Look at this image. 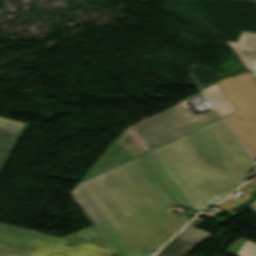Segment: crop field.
<instances>
[{"instance_id":"10","label":"crop field","mask_w":256,"mask_h":256,"mask_svg":"<svg viewBox=\"0 0 256 256\" xmlns=\"http://www.w3.org/2000/svg\"><path fill=\"white\" fill-rule=\"evenodd\" d=\"M203 92L210 99L214 107L220 112L222 117L237 110L217 84L204 89Z\"/></svg>"},{"instance_id":"8","label":"crop field","mask_w":256,"mask_h":256,"mask_svg":"<svg viewBox=\"0 0 256 256\" xmlns=\"http://www.w3.org/2000/svg\"><path fill=\"white\" fill-rule=\"evenodd\" d=\"M228 44L247 70L256 72V34L242 32L238 43Z\"/></svg>"},{"instance_id":"7","label":"crop field","mask_w":256,"mask_h":256,"mask_svg":"<svg viewBox=\"0 0 256 256\" xmlns=\"http://www.w3.org/2000/svg\"><path fill=\"white\" fill-rule=\"evenodd\" d=\"M27 126V123L0 118V173Z\"/></svg>"},{"instance_id":"11","label":"crop field","mask_w":256,"mask_h":256,"mask_svg":"<svg viewBox=\"0 0 256 256\" xmlns=\"http://www.w3.org/2000/svg\"><path fill=\"white\" fill-rule=\"evenodd\" d=\"M239 191L245 193L246 196L242 199H239V200L229 198L226 201H224L223 203H221V204H219L215 207L220 208V209L226 211L227 213H229L231 215L235 214V212L232 211V208L235 207L236 205L240 204V203H243V202L247 201L253 195V194L247 193L246 191H243V190H239Z\"/></svg>"},{"instance_id":"9","label":"crop field","mask_w":256,"mask_h":256,"mask_svg":"<svg viewBox=\"0 0 256 256\" xmlns=\"http://www.w3.org/2000/svg\"><path fill=\"white\" fill-rule=\"evenodd\" d=\"M144 159L148 162V164L152 167L170 193L175 197V199L182 205L193 209L187 199L182 195V193L177 189V187L173 184V182L169 179L166 173L162 170L153 156L149 153L143 155ZM194 210V209H193Z\"/></svg>"},{"instance_id":"13","label":"crop field","mask_w":256,"mask_h":256,"mask_svg":"<svg viewBox=\"0 0 256 256\" xmlns=\"http://www.w3.org/2000/svg\"><path fill=\"white\" fill-rule=\"evenodd\" d=\"M243 241H244V238L239 239L238 241L233 243L226 252L236 256V254L239 251Z\"/></svg>"},{"instance_id":"1","label":"crop field","mask_w":256,"mask_h":256,"mask_svg":"<svg viewBox=\"0 0 256 256\" xmlns=\"http://www.w3.org/2000/svg\"><path fill=\"white\" fill-rule=\"evenodd\" d=\"M118 256H152L188 218L140 157L78 183L70 193Z\"/></svg>"},{"instance_id":"12","label":"crop field","mask_w":256,"mask_h":256,"mask_svg":"<svg viewBox=\"0 0 256 256\" xmlns=\"http://www.w3.org/2000/svg\"><path fill=\"white\" fill-rule=\"evenodd\" d=\"M237 256H256V244L246 239Z\"/></svg>"},{"instance_id":"2","label":"crop field","mask_w":256,"mask_h":256,"mask_svg":"<svg viewBox=\"0 0 256 256\" xmlns=\"http://www.w3.org/2000/svg\"><path fill=\"white\" fill-rule=\"evenodd\" d=\"M151 153L196 212L228 196L256 166L221 119Z\"/></svg>"},{"instance_id":"16","label":"crop field","mask_w":256,"mask_h":256,"mask_svg":"<svg viewBox=\"0 0 256 256\" xmlns=\"http://www.w3.org/2000/svg\"><path fill=\"white\" fill-rule=\"evenodd\" d=\"M250 206L254 210V212L256 213V201L254 203H252Z\"/></svg>"},{"instance_id":"5","label":"crop field","mask_w":256,"mask_h":256,"mask_svg":"<svg viewBox=\"0 0 256 256\" xmlns=\"http://www.w3.org/2000/svg\"><path fill=\"white\" fill-rule=\"evenodd\" d=\"M238 111L224 117L256 160V82L247 73L217 83Z\"/></svg>"},{"instance_id":"4","label":"crop field","mask_w":256,"mask_h":256,"mask_svg":"<svg viewBox=\"0 0 256 256\" xmlns=\"http://www.w3.org/2000/svg\"><path fill=\"white\" fill-rule=\"evenodd\" d=\"M93 225L57 238L0 223V256H113Z\"/></svg>"},{"instance_id":"15","label":"crop field","mask_w":256,"mask_h":256,"mask_svg":"<svg viewBox=\"0 0 256 256\" xmlns=\"http://www.w3.org/2000/svg\"><path fill=\"white\" fill-rule=\"evenodd\" d=\"M219 212H223V211H221V210L219 209V210L216 211V212H212V213L203 212L202 214L209 215V216H214L215 214H217V213H219ZM214 217H216V216H214ZM216 218H218V217H216ZM218 219H219V218H218Z\"/></svg>"},{"instance_id":"14","label":"crop field","mask_w":256,"mask_h":256,"mask_svg":"<svg viewBox=\"0 0 256 256\" xmlns=\"http://www.w3.org/2000/svg\"><path fill=\"white\" fill-rule=\"evenodd\" d=\"M255 184H256V182L253 181V182H251V183L245 185V186H244V189L248 190L249 192H252V191H253V187H254Z\"/></svg>"},{"instance_id":"17","label":"crop field","mask_w":256,"mask_h":256,"mask_svg":"<svg viewBox=\"0 0 256 256\" xmlns=\"http://www.w3.org/2000/svg\"><path fill=\"white\" fill-rule=\"evenodd\" d=\"M251 73V72H250ZM251 75L253 76V78L256 80V73H251Z\"/></svg>"},{"instance_id":"6","label":"crop field","mask_w":256,"mask_h":256,"mask_svg":"<svg viewBox=\"0 0 256 256\" xmlns=\"http://www.w3.org/2000/svg\"><path fill=\"white\" fill-rule=\"evenodd\" d=\"M203 220L196 218L189 225L196 227ZM188 225V226H189ZM210 233L187 227L175 237L157 256H183L205 239Z\"/></svg>"},{"instance_id":"3","label":"crop field","mask_w":256,"mask_h":256,"mask_svg":"<svg viewBox=\"0 0 256 256\" xmlns=\"http://www.w3.org/2000/svg\"><path fill=\"white\" fill-rule=\"evenodd\" d=\"M184 105L179 103L165 112L124 130L81 181L117 167L219 119L215 111L194 116ZM193 117L195 119H192Z\"/></svg>"}]
</instances>
